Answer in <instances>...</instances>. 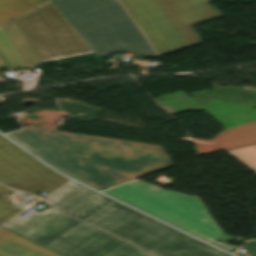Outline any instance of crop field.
Returning <instances> with one entry per match:
<instances>
[{
  "label": "crop field",
  "instance_id": "crop-field-15",
  "mask_svg": "<svg viewBox=\"0 0 256 256\" xmlns=\"http://www.w3.org/2000/svg\"><path fill=\"white\" fill-rule=\"evenodd\" d=\"M239 256H256V255H253V254H249V253H237Z\"/></svg>",
  "mask_w": 256,
  "mask_h": 256
},
{
  "label": "crop field",
  "instance_id": "crop-field-6",
  "mask_svg": "<svg viewBox=\"0 0 256 256\" xmlns=\"http://www.w3.org/2000/svg\"><path fill=\"white\" fill-rule=\"evenodd\" d=\"M121 1L160 55L201 44L191 26L224 16L215 0Z\"/></svg>",
  "mask_w": 256,
  "mask_h": 256
},
{
  "label": "crop field",
  "instance_id": "crop-field-14",
  "mask_svg": "<svg viewBox=\"0 0 256 256\" xmlns=\"http://www.w3.org/2000/svg\"><path fill=\"white\" fill-rule=\"evenodd\" d=\"M246 248L249 251V253L256 254V241L247 242Z\"/></svg>",
  "mask_w": 256,
  "mask_h": 256
},
{
  "label": "crop field",
  "instance_id": "crop-field-16",
  "mask_svg": "<svg viewBox=\"0 0 256 256\" xmlns=\"http://www.w3.org/2000/svg\"><path fill=\"white\" fill-rule=\"evenodd\" d=\"M39 1L43 2L44 4L51 3V0H39Z\"/></svg>",
  "mask_w": 256,
  "mask_h": 256
},
{
  "label": "crop field",
  "instance_id": "crop-field-11",
  "mask_svg": "<svg viewBox=\"0 0 256 256\" xmlns=\"http://www.w3.org/2000/svg\"><path fill=\"white\" fill-rule=\"evenodd\" d=\"M228 152L256 172V145L228 150Z\"/></svg>",
  "mask_w": 256,
  "mask_h": 256
},
{
  "label": "crop field",
  "instance_id": "crop-field-3",
  "mask_svg": "<svg viewBox=\"0 0 256 256\" xmlns=\"http://www.w3.org/2000/svg\"><path fill=\"white\" fill-rule=\"evenodd\" d=\"M91 53L53 3L0 26V69L36 68Z\"/></svg>",
  "mask_w": 256,
  "mask_h": 256
},
{
  "label": "crop field",
  "instance_id": "crop-field-1",
  "mask_svg": "<svg viewBox=\"0 0 256 256\" xmlns=\"http://www.w3.org/2000/svg\"><path fill=\"white\" fill-rule=\"evenodd\" d=\"M8 136L62 173L98 190L174 166L157 145L38 127Z\"/></svg>",
  "mask_w": 256,
  "mask_h": 256
},
{
  "label": "crop field",
  "instance_id": "crop-field-8",
  "mask_svg": "<svg viewBox=\"0 0 256 256\" xmlns=\"http://www.w3.org/2000/svg\"><path fill=\"white\" fill-rule=\"evenodd\" d=\"M68 181L0 136V183L34 194L54 191Z\"/></svg>",
  "mask_w": 256,
  "mask_h": 256
},
{
  "label": "crop field",
  "instance_id": "crop-field-13",
  "mask_svg": "<svg viewBox=\"0 0 256 256\" xmlns=\"http://www.w3.org/2000/svg\"><path fill=\"white\" fill-rule=\"evenodd\" d=\"M33 256H60L46 248L42 249L41 251H39L38 253H36Z\"/></svg>",
  "mask_w": 256,
  "mask_h": 256
},
{
  "label": "crop field",
  "instance_id": "crop-field-7",
  "mask_svg": "<svg viewBox=\"0 0 256 256\" xmlns=\"http://www.w3.org/2000/svg\"><path fill=\"white\" fill-rule=\"evenodd\" d=\"M155 217L189 231L227 251L236 247L217 242L224 234L198 197L162 190L135 181L104 192Z\"/></svg>",
  "mask_w": 256,
  "mask_h": 256
},
{
  "label": "crop field",
  "instance_id": "crop-field-5",
  "mask_svg": "<svg viewBox=\"0 0 256 256\" xmlns=\"http://www.w3.org/2000/svg\"><path fill=\"white\" fill-rule=\"evenodd\" d=\"M53 1L99 56L119 51H134L142 56L156 55L119 1Z\"/></svg>",
  "mask_w": 256,
  "mask_h": 256
},
{
  "label": "crop field",
  "instance_id": "crop-field-10",
  "mask_svg": "<svg viewBox=\"0 0 256 256\" xmlns=\"http://www.w3.org/2000/svg\"><path fill=\"white\" fill-rule=\"evenodd\" d=\"M40 4L36 0H0V24Z\"/></svg>",
  "mask_w": 256,
  "mask_h": 256
},
{
  "label": "crop field",
  "instance_id": "crop-field-12",
  "mask_svg": "<svg viewBox=\"0 0 256 256\" xmlns=\"http://www.w3.org/2000/svg\"><path fill=\"white\" fill-rule=\"evenodd\" d=\"M6 192L15 193V191L0 185V224L22 210L10 205L13 203L12 201L1 197Z\"/></svg>",
  "mask_w": 256,
  "mask_h": 256
},
{
  "label": "crop field",
  "instance_id": "crop-field-9",
  "mask_svg": "<svg viewBox=\"0 0 256 256\" xmlns=\"http://www.w3.org/2000/svg\"><path fill=\"white\" fill-rule=\"evenodd\" d=\"M43 247L0 228V256H32Z\"/></svg>",
  "mask_w": 256,
  "mask_h": 256
},
{
  "label": "crop field",
  "instance_id": "crop-field-4",
  "mask_svg": "<svg viewBox=\"0 0 256 256\" xmlns=\"http://www.w3.org/2000/svg\"><path fill=\"white\" fill-rule=\"evenodd\" d=\"M63 256H150L52 208L3 225Z\"/></svg>",
  "mask_w": 256,
  "mask_h": 256
},
{
  "label": "crop field",
  "instance_id": "crop-field-2",
  "mask_svg": "<svg viewBox=\"0 0 256 256\" xmlns=\"http://www.w3.org/2000/svg\"><path fill=\"white\" fill-rule=\"evenodd\" d=\"M43 201L156 256H227L79 185H67Z\"/></svg>",
  "mask_w": 256,
  "mask_h": 256
}]
</instances>
